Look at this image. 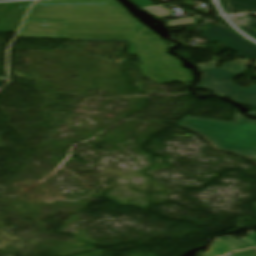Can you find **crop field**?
I'll list each match as a JSON object with an SVG mask.
<instances>
[{"instance_id":"crop-field-2","label":"crop field","mask_w":256,"mask_h":256,"mask_svg":"<svg viewBox=\"0 0 256 256\" xmlns=\"http://www.w3.org/2000/svg\"><path fill=\"white\" fill-rule=\"evenodd\" d=\"M178 124L203 134L217 149L256 157V121H249L240 114L233 123L184 117Z\"/></svg>"},{"instance_id":"crop-field-14","label":"crop field","mask_w":256,"mask_h":256,"mask_svg":"<svg viewBox=\"0 0 256 256\" xmlns=\"http://www.w3.org/2000/svg\"><path fill=\"white\" fill-rule=\"evenodd\" d=\"M248 34L254 38H256V32L255 31H252V32H248Z\"/></svg>"},{"instance_id":"crop-field-4","label":"crop field","mask_w":256,"mask_h":256,"mask_svg":"<svg viewBox=\"0 0 256 256\" xmlns=\"http://www.w3.org/2000/svg\"><path fill=\"white\" fill-rule=\"evenodd\" d=\"M211 41L225 43L230 51L243 59H256V45L217 23L203 30Z\"/></svg>"},{"instance_id":"crop-field-1","label":"crop field","mask_w":256,"mask_h":256,"mask_svg":"<svg viewBox=\"0 0 256 256\" xmlns=\"http://www.w3.org/2000/svg\"><path fill=\"white\" fill-rule=\"evenodd\" d=\"M26 20L64 21L61 39L131 41L130 55H139L144 76L159 84L193 80L190 70L183 69L177 58L167 54L166 43L115 0L38 1Z\"/></svg>"},{"instance_id":"crop-field-5","label":"crop field","mask_w":256,"mask_h":256,"mask_svg":"<svg viewBox=\"0 0 256 256\" xmlns=\"http://www.w3.org/2000/svg\"><path fill=\"white\" fill-rule=\"evenodd\" d=\"M34 1L1 3L0 4V32L16 33L22 20Z\"/></svg>"},{"instance_id":"crop-field-11","label":"crop field","mask_w":256,"mask_h":256,"mask_svg":"<svg viewBox=\"0 0 256 256\" xmlns=\"http://www.w3.org/2000/svg\"><path fill=\"white\" fill-rule=\"evenodd\" d=\"M215 66H218V63H216L215 61H210V62L198 65V68L201 71V70H204L206 68H212V67H215Z\"/></svg>"},{"instance_id":"crop-field-10","label":"crop field","mask_w":256,"mask_h":256,"mask_svg":"<svg viewBox=\"0 0 256 256\" xmlns=\"http://www.w3.org/2000/svg\"><path fill=\"white\" fill-rule=\"evenodd\" d=\"M238 20L242 22L244 25L240 27L244 29L246 32L256 30V21L248 16H237Z\"/></svg>"},{"instance_id":"crop-field-9","label":"crop field","mask_w":256,"mask_h":256,"mask_svg":"<svg viewBox=\"0 0 256 256\" xmlns=\"http://www.w3.org/2000/svg\"><path fill=\"white\" fill-rule=\"evenodd\" d=\"M250 61L246 60H237L228 64L223 65V68L232 72H235L237 74L243 73V70L245 67L249 66ZM242 66H244L242 68Z\"/></svg>"},{"instance_id":"crop-field-15","label":"crop field","mask_w":256,"mask_h":256,"mask_svg":"<svg viewBox=\"0 0 256 256\" xmlns=\"http://www.w3.org/2000/svg\"><path fill=\"white\" fill-rule=\"evenodd\" d=\"M255 204V208H256V203H254Z\"/></svg>"},{"instance_id":"crop-field-3","label":"crop field","mask_w":256,"mask_h":256,"mask_svg":"<svg viewBox=\"0 0 256 256\" xmlns=\"http://www.w3.org/2000/svg\"><path fill=\"white\" fill-rule=\"evenodd\" d=\"M237 76V74L221 68L204 70L199 83L194 89L213 91L218 95L236 100L244 105L256 106V86L244 90L234 85L232 80Z\"/></svg>"},{"instance_id":"crop-field-12","label":"crop field","mask_w":256,"mask_h":256,"mask_svg":"<svg viewBox=\"0 0 256 256\" xmlns=\"http://www.w3.org/2000/svg\"><path fill=\"white\" fill-rule=\"evenodd\" d=\"M233 256H256V249H252V250L244 251V252H241V253H237Z\"/></svg>"},{"instance_id":"crop-field-13","label":"crop field","mask_w":256,"mask_h":256,"mask_svg":"<svg viewBox=\"0 0 256 256\" xmlns=\"http://www.w3.org/2000/svg\"><path fill=\"white\" fill-rule=\"evenodd\" d=\"M135 4H137L139 7L143 6H151L153 5L149 0H132Z\"/></svg>"},{"instance_id":"crop-field-8","label":"crop field","mask_w":256,"mask_h":256,"mask_svg":"<svg viewBox=\"0 0 256 256\" xmlns=\"http://www.w3.org/2000/svg\"><path fill=\"white\" fill-rule=\"evenodd\" d=\"M227 14H232L225 0H221ZM234 12L256 11V0H228Z\"/></svg>"},{"instance_id":"crop-field-7","label":"crop field","mask_w":256,"mask_h":256,"mask_svg":"<svg viewBox=\"0 0 256 256\" xmlns=\"http://www.w3.org/2000/svg\"><path fill=\"white\" fill-rule=\"evenodd\" d=\"M223 243H214L210 246L209 252L202 256H222L226 253L256 247V233L250 235L242 241L235 240L229 236L216 238Z\"/></svg>"},{"instance_id":"crop-field-6","label":"crop field","mask_w":256,"mask_h":256,"mask_svg":"<svg viewBox=\"0 0 256 256\" xmlns=\"http://www.w3.org/2000/svg\"><path fill=\"white\" fill-rule=\"evenodd\" d=\"M63 22L26 21L18 37L60 39Z\"/></svg>"}]
</instances>
